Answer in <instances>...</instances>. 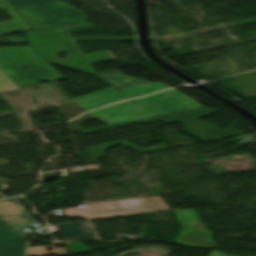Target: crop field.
Masks as SVG:
<instances>
[{
  "instance_id": "crop-field-16",
  "label": "crop field",
  "mask_w": 256,
  "mask_h": 256,
  "mask_svg": "<svg viewBox=\"0 0 256 256\" xmlns=\"http://www.w3.org/2000/svg\"><path fill=\"white\" fill-rule=\"evenodd\" d=\"M0 198H2V197H0Z\"/></svg>"
},
{
  "instance_id": "crop-field-10",
  "label": "crop field",
  "mask_w": 256,
  "mask_h": 256,
  "mask_svg": "<svg viewBox=\"0 0 256 256\" xmlns=\"http://www.w3.org/2000/svg\"><path fill=\"white\" fill-rule=\"evenodd\" d=\"M165 88H169V87L163 86L161 84H151V85H147V86L121 90V92L129 98H134L137 96H141V95H145V94L152 93L155 91H159V90H162Z\"/></svg>"
},
{
  "instance_id": "crop-field-12",
  "label": "crop field",
  "mask_w": 256,
  "mask_h": 256,
  "mask_svg": "<svg viewBox=\"0 0 256 256\" xmlns=\"http://www.w3.org/2000/svg\"><path fill=\"white\" fill-rule=\"evenodd\" d=\"M16 87L17 86L0 70V91Z\"/></svg>"
},
{
  "instance_id": "crop-field-9",
  "label": "crop field",
  "mask_w": 256,
  "mask_h": 256,
  "mask_svg": "<svg viewBox=\"0 0 256 256\" xmlns=\"http://www.w3.org/2000/svg\"><path fill=\"white\" fill-rule=\"evenodd\" d=\"M157 210H170L161 196L140 198L138 210L129 211V213L133 214Z\"/></svg>"
},
{
  "instance_id": "crop-field-5",
  "label": "crop field",
  "mask_w": 256,
  "mask_h": 256,
  "mask_svg": "<svg viewBox=\"0 0 256 256\" xmlns=\"http://www.w3.org/2000/svg\"><path fill=\"white\" fill-rule=\"evenodd\" d=\"M174 94H177V95L166 98V99H162L153 103L150 102L152 100H156V99L167 97ZM135 101L139 104H144L149 102L150 104L166 112L202 107V105H200L199 103L193 101L192 99L188 98L187 96L181 94L176 90L159 92L157 94H154L142 99H137Z\"/></svg>"
},
{
  "instance_id": "crop-field-7",
  "label": "crop field",
  "mask_w": 256,
  "mask_h": 256,
  "mask_svg": "<svg viewBox=\"0 0 256 256\" xmlns=\"http://www.w3.org/2000/svg\"><path fill=\"white\" fill-rule=\"evenodd\" d=\"M124 99H126V97L113 90L112 88H109L89 95L78 97L73 99V101L82 107L85 111H89Z\"/></svg>"
},
{
  "instance_id": "crop-field-15",
  "label": "crop field",
  "mask_w": 256,
  "mask_h": 256,
  "mask_svg": "<svg viewBox=\"0 0 256 256\" xmlns=\"http://www.w3.org/2000/svg\"><path fill=\"white\" fill-rule=\"evenodd\" d=\"M192 225L196 226L197 228H199L200 230L204 231L205 233L209 234L210 235V232L203 227V225L197 220V221H194L192 222Z\"/></svg>"
},
{
  "instance_id": "crop-field-4",
  "label": "crop field",
  "mask_w": 256,
  "mask_h": 256,
  "mask_svg": "<svg viewBox=\"0 0 256 256\" xmlns=\"http://www.w3.org/2000/svg\"><path fill=\"white\" fill-rule=\"evenodd\" d=\"M119 215H128L125 205L121 200L88 204L86 207L65 210V216H82L88 219Z\"/></svg>"
},
{
  "instance_id": "crop-field-3",
  "label": "crop field",
  "mask_w": 256,
  "mask_h": 256,
  "mask_svg": "<svg viewBox=\"0 0 256 256\" xmlns=\"http://www.w3.org/2000/svg\"><path fill=\"white\" fill-rule=\"evenodd\" d=\"M181 225V231L175 243L199 248H214L215 243L209 235L191 225L197 217L193 210L175 211ZM175 215V216H176Z\"/></svg>"
},
{
  "instance_id": "crop-field-1",
  "label": "crop field",
  "mask_w": 256,
  "mask_h": 256,
  "mask_svg": "<svg viewBox=\"0 0 256 256\" xmlns=\"http://www.w3.org/2000/svg\"><path fill=\"white\" fill-rule=\"evenodd\" d=\"M17 212V213H14ZM37 223L24 210L18 198L0 201V256H24L27 239L24 229Z\"/></svg>"
},
{
  "instance_id": "crop-field-13",
  "label": "crop field",
  "mask_w": 256,
  "mask_h": 256,
  "mask_svg": "<svg viewBox=\"0 0 256 256\" xmlns=\"http://www.w3.org/2000/svg\"><path fill=\"white\" fill-rule=\"evenodd\" d=\"M139 198L123 200L127 210L137 209Z\"/></svg>"
},
{
  "instance_id": "crop-field-11",
  "label": "crop field",
  "mask_w": 256,
  "mask_h": 256,
  "mask_svg": "<svg viewBox=\"0 0 256 256\" xmlns=\"http://www.w3.org/2000/svg\"><path fill=\"white\" fill-rule=\"evenodd\" d=\"M15 8L43 4L58 0H8Z\"/></svg>"
},
{
  "instance_id": "crop-field-8",
  "label": "crop field",
  "mask_w": 256,
  "mask_h": 256,
  "mask_svg": "<svg viewBox=\"0 0 256 256\" xmlns=\"http://www.w3.org/2000/svg\"><path fill=\"white\" fill-rule=\"evenodd\" d=\"M92 75L98 77L99 79L117 90L150 84L146 81L127 77L123 73H121L119 69L95 73Z\"/></svg>"
},
{
  "instance_id": "crop-field-6",
  "label": "crop field",
  "mask_w": 256,
  "mask_h": 256,
  "mask_svg": "<svg viewBox=\"0 0 256 256\" xmlns=\"http://www.w3.org/2000/svg\"><path fill=\"white\" fill-rule=\"evenodd\" d=\"M66 243L101 240L95 227L85 221L57 225Z\"/></svg>"
},
{
  "instance_id": "crop-field-2",
  "label": "crop field",
  "mask_w": 256,
  "mask_h": 256,
  "mask_svg": "<svg viewBox=\"0 0 256 256\" xmlns=\"http://www.w3.org/2000/svg\"><path fill=\"white\" fill-rule=\"evenodd\" d=\"M92 117L109 125L139 118H145L155 115L166 114V112L150 105L139 106L129 100L103 109L88 113Z\"/></svg>"
},
{
  "instance_id": "crop-field-14",
  "label": "crop field",
  "mask_w": 256,
  "mask_h": 256,
  "mask_svg": "<svg viewBox=\"0 0 256 256\" xmlns=\"http://www.w3.org/2000/svg\"><path fill=\"white\" fill-rule=\"evenodd\" d=\"M208 256H237V255L229 254V253L218 251V250H213Z\"/></svg>"
}]
</instances>
